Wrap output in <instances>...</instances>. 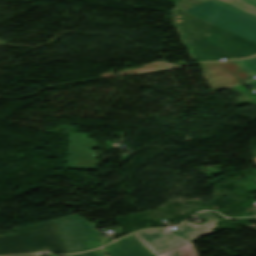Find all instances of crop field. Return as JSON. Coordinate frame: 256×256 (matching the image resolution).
Here are the masks:
<instances>
[{
    "label": "crop field",
    "mask_w": 256,
    "mask_h": 256,
    "mask_svg": "<svg viewBox=\"0 0 256 256\" xmlns=\"http://www.w3.org/2000/svg\"><path fill=\"white\" fill-rule=\"evenodd\" d=\"M174 12V24L196 62L256 54V43L178 9Z\"/></svg>",
    "instance_id": "obj_1"
},
{
    "label": "crop field",
    "mask_w": 256,
    "mask_h": 256,
    "mask_svg": "<svg viewBox=\"0 0 256 256\" xmlns=\"http://www.w3.org/2000/svg\"><path fill=\"white\" fill-rule=\"evenodd\" d=\"M174 7L256 42V17L219 0H177Z\"/></svg>",
    "instance_id": "obj_2"
},
{
    "label": "crop field",
    "mask_w": 256,
    "mask_h": 256,
    "mask_svg": "<svg viewBox=\"0 0 256 256\" xmlns=\"http://www.w3.org/2000/svg\"><path fill=\"white\" fill-rule=\"evenodd\" d=\"M14 231L16 235L0 236V255L33 253L39 249L67 253L53 220Z\"/></svg>",
    "instance_id": "obj_3"
},
{
    "label": "crop field",
    "mask_w": 256,
    "mask_h": 256,
    "mask_svg": "<svg viewBox=\"0 0 256 256\" xmlns=\"http://www.w3.org/2000/svg\"><path fill=\"white\" fill-rule=\"evenodd\" d=\"M198 215L206 222L201 225L185 223L179 230L167 229L138 232L133 236L153 255L181 246L194 239L214 233L211 229L217 227L220 221L209 212H200Z\"/></svg>",
    "instance_id": "obj_4"
},
{
    "label": "crop field",
    "mask_w": 256,
    "mask_h": 256,
    "mask_svg": "<svg viewBox=\"0 0 256 256\" xmlns=\"http://www.w3.org/2000/svg\"><path fill=\"white\" fill-rule=\"evenodd\" d=\"M68 253L97 248L112 242L95 233L90 222L72 216L54 220Z\"/></svg>",
    "instance_id": "obj_5"
},
{
    "label": "crop field",
    "mask_w": 256,
    "mask_h": 256,
    "mask_svg": "<svg viewBox=\"0 0 256 256\" xmlns=\"http://www.w3.org/2000/svg\"><path fill=\"white\" fill-rule=\"evenodd\" d=\"M200 66L204 72L206 81L213 91L222 90L241 83L217 63H205L200 64Z\"/></svg>",
    "instance_id": "obj_6"
},
{
    "label": "crop field",
    "mask_w": 256,
    "mask_h": 256,
    "mask_svg": "<svg viewBox=\"0 0 256 256\" xmlns=\"http://www.w3.org/2000/svg\"><path fill=\"white\" fill-rule=\"evenodd\" d=\"M103 249L109 256H153L132 235Z\"/></svg>",
    "instance_id": "obj_7"
},
{
    "label": "crop field",
    "mask_w": 256,
    "mask_h": 256,
    "mask_svg": "<svg viewBox=\"0 0 256 256\" xmlns=\"http://www.w3.org/2000/svg\"><path fill=\"white\" fill-rule=\"evenodd\" d=\"M156 256H197L193 243L183 245Z\"/></svg>",
    "instance_id": "obj_8"
},
{
    "label": "crop field",
    "mask_w": 256,
    "mask_h": 256,
    "mask_svg": "<svg viewBox=\"0 0 256 256\" xmlns=\"http://www.w3.org/2000/svg\"><path fill=\"white\" fill-rule=\"evenodd\" d=\"M256 16V0H222Z\"/></svg>",
    "instance_id": "obj_9"
},
{
    "label": "crop field",
    "mask_w": 256,
    "mask_h": 256,
    "mask_svg": "<svg viewBox=\"0 0 256 256\" xmlns=\"http://www.w3.org/2000/svg\"><path fill=\"white\" fill-rule=\"evenodd\" d=\"M218 64H220L223 68H225L228 72H230L240 81L245 82L247 80H250V77L243 70H241L234 62H224Z\"/></svg>",
    "instance_id": "obj_10"
},
{
    "label": "crop field",
    "mask_w": 256,
    "mask_h": 256,
    "mask_svg": "<svg viewBox=\"0 0 256 256\" xmlns=\"http://www.w3.org/2000/svg\"><path fill=\"white\" fill-rule=\"evenodd\" d=\"M234 62L250 77L256 76V56L247 60H235Z\"/></svg>",
    "instance_id": "obj_11"
},
{
    "label": "crop field",
    "mask_w": 256,
    "mask_h": 256,
    "mask_svg": "<svg viewBox=\"0 0 256 256\" xmlns=\"http://www.w3.org/2000/svg\"><path fill=\"white\" fill-rule=\"evenodd\" d=\"M72 256H104L101 250L94 251V252H88L78 255H72Z\"/></svg>",
    "instance_id": "obj_12"
},
{
    "label": "crop field",
    "mask_w": 256,
    "mask_h": 256,
    "mask_svg": "<svg viewBox=\"0 0 256 256\" xmlns=\"http://www.w3.org/2000/svg\"><path fill=\"white\" fill-rule=\"evenodd\" d=\"M26 256H39V255H26Z\"/></svg>",
    "instance_id": "obj_13"
},
{
    "label": "crop field",
    "mask_w": 256,
    "mask_h": 256,
    "mask_svg": "<svg viewBox=\"0 0 256 256\" xmlns=\"http://www.w3.org/2000/svg\"><path fill=\"white\" fill-rule=\"evenodd\" d=\"M252 179L256 181V177H255V178H252Z\"/></svg>",
    "instance_id": "obj_14"
}]
</instances>
